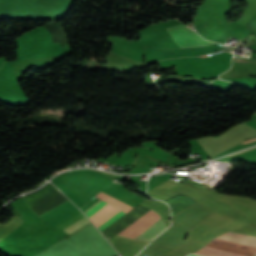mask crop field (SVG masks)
Masks as SVG:
<instances>
[{
  "label": "crop field",
  "instance_id": "e52e79f7",
  "mask_svg": "<svg viewBox=\"0 0 256 256\" xmlns=\"http://www.w3.org/2000/svg\"><path fill=\"white\" fill-rule=\"evenodd\" d=\"M188 256H195V255H188Z\"/></svg>",
  "mask_w": 256,
  "mask_h": 256
},
{
  "label": "crop field",
  "instance_id": "dd49c442",
  "mask_svg": "<svg viewBox=\"0 0 256 256\" xmlns=\"http://www.w3.org/2000/svg\"><path fill=\"white\" fill-rule=\"evenodd\" d=\"M184 197H185V196H184ZM182 198H183V197H182ZM187 198H188V197H187ZM175 199H176V198H175ZM180 199H181V198H180ZM185 199H186V198H185ZM189 199H190V198H189ZM189 199H187V200H189ZM169 200H170V199H169ZM173 200H174V199H173ZM178 200H179V199H178ZM178 200H176V201H178ZM183 200H184V199H183ZM187 200H185V201H187ZM167 201H168V200H167ZM171 201H172V200H171ZM176 201H175V202H176ZM181 201H182V200H181ZM185 201H183V202H185ZM165 202H166V201H165ZM169 202H170V201H169ZM179 202H180V201H179ZM179 202H178V203H179ZM183 202H182V203H183ZM194 202H195V201H194ZM194 202H192V203H194ZM167 203H168V202H167ZM173 203H174V202H173ZM192 203H190V204H192ZM171 204H172V203H171ZM176 204H177V203H176ZM180 204H181V203H180ZM190 204H188V205H190ZM169 205H170V204H169ZM174 205H175V204H174ZM178 205H179V204H178ZM188 205H187V206H188ZM172 206H173V205H172ZM187 206H185V207H187ZM185 207H183V208H185ZM183 208H181V209H183ZM181 209H179V210H181ZM171 210H172V209H171ZM179 210H178V211H179ZM178 211H176V212H178ZM176 212H174V213H176ZM174 213H172V214H174Z\"/></svg>",
  "mask_w": 256,
  "mask_h": 256
},
{
  "label": "crop field",
  "instance_id": "f4fd0767",
  "mask_svg": "<svg viewBox=\"0 0 256 256\" xmlns=\"http://www.w3.org/2000/svg\"><path fill=\"white\" fill-rule=\"evenodd\" d=\"M166 224H164L161 220V218L159 220H157L155 223H153L151 226H149L147 229H145L143 232H141L138 236H136V239H141L144 241H147L150 237H152L155 233H157L159 230H161L163 227H165ZM167 227V226H166ZM165 227V228H166ZM165 228H163L162 230H164ZM161 230V231H162ZM161 231H159L158 233H160ZM157 233V234H158ZM157 234H155L154 236H156ZM153 236V237H154ZM152 237V238H153ZM150 238L149 241L152 239Z\"/></svg>",
  "mask_w": 256,
  "mask_h": 256
},
{
  "label": "crop field",
  "instance_id": "412701ff",
  "mask_svg": "<svg viewBox=\"0 0 256 256\" xmlns=\"http://www.w3.org/2000/svg\"><path fill=\"white\" fill-rule=\"evenodd\" d=\"M218 238L256 247V237L229 231ZM199 255V254H198Z\"/></svg>",
  "mask_w": 256,
  "mask_h": 256
},
{
  "label": "crop field",
  "instance_id": "ac0d7876",
  "mask_svg": "<svg viewBox=\"0 0 256 256\" xmlns=\"http://www.w3.org/2000/svg\"><path fill=\"white\" fill-rule=\"evenodd\" d=\"M167 30L181 48L206 46L213 43L204 40L187 26L171 27Z\"/></svg>",
  "mask_w": 256,
  "mask_h": 256
},
{
  "label": "crop field",
  "instance_id": "8a807250",
  "mask_svg": "<svg viewBox=\"0 0 256 256\" xmlns=\"http://www.w3.org/2000/svg\"><path fill=\"white\" fill-rule=\"evenodd\" d=\"M106 203H107L106 201L101 199L97 203H95L93 206L88 208L86 211H84V213L89 217L98 209H100L102 206H104ZM126 213L127 212L108 203L107 205H105L103 208H101L99 211H97L95 214H93L89 218L101 231L106 227H108L110 224L114 223L116 220H118L120 217H122Z\"/></svg>",
  "mask_w": 256,
  "mask_h": 256
},
{
  "label": "crop field",
  "instance_id": "34b2d1b8",
  "mask_svg": "<svg viewBox=\"0 0 256 256\" xmlns=\"http://www.w3.org/2000/svg\"><path fill=\"white\" fill-rule=\"evenodd\" d=\"M89 224L91 223L82 213L58 228L71 235Z\"/></svg>",
  "mask_w": 256,
  "mask_h": 256
}]
</instances>
